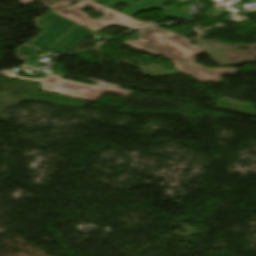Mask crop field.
Here are the masks:
<instances>
[{
  "mask_svg": "<svg viewBox=\"0 0 256 256\" xmlns=\"http://www.w3.org/2000/svg\"><path fill=\"white\" fill-rule=\"evenodd\" d=\"M139 33V38L142 40L141 44H139L140 41L132 40H128L124 44L153 55L163 54L167 58L173 59L175 65L181 64L180 60L191 61L202 53L197 46H189L188 39L158 27L140 30Z\"/></svg>",
  "mask_w": 256,
  "mask_h": 256,
  "instance_id": "8a807250",
  "label": "crop field"
},
{
  "mask_svg": "<svg viewBox=\"0 0 256 256\" xmlns=\"http://www.w3.org/2000/svg\"><path fill=\"white\" fill-rule=\"evenodd\" d=\"M41 82L43 91L95 101L102 92L128 97L131 92L96 84L89 86L63 80L62 77L46 75L44 79H32Z\"/></svg>",
  "mask_w": 256,
  "mask_h": 256,
  "instance_id": "ac0d7876",
  "label": "crop field"
},
{
  "mask_svg": "<svg viewBox=\"0 0 256 256\" xmlns=\"http://www.w3.org/2000/svg\"><path fill=\"white\" fill-rule=\"evenodd\" d=\"M88 7L92 8L93 10H95L105 16L100 20H94V19L89 18L86 14L79 12ZM54 13L66 18V19H69L79 25H82L90 30H93L97 27H100L104 24H107L111 21H114L118 18L125 16L120 12L106 8V7H104L98 3H95L91 0H81L76 5L69 6L62 10H56V11H54Z\"/></svg>",
  "mask_w": 256,
  "mask_h": 256,
  "instance_id": "34b2d1b8",
  "label": "crop field"
},
{
  "mask_svg": "<svg viewBox=\"0 0 256 256\" xmlns=\"http://www.w3.org/2000/svg\"><path fill=\"white\" fill-rule=\"evenodd\" d=\"M37 26L47 29L43 35L34 40L31 44L46 49L67 31H69L75 24L64 20L52 13L36 19Z\"/></svg>",
  "mask_w": 256,
  "mask_h": 256,
  "instance_id": "412701ff",
  "label": "crop field"
},
{
  "mask_svg": "<svg viewBox=\"0 0 256 256\" xmlns=\"http://www.w3.org/2000/svg\"><path fill=\"white\" fill-rule=\"evenodd\" d=\"M176 69L181 72L191 75L201 81L202 83H211V82H222L221 75L236 73L235 69H209L207 67L201 66L199 64H181L177 65ZM222 71L223 73H220Z\"/></svg>",
  "mask_w": 256,
  "mask_h": 256,
  "instance_id": "f4fd0767",
  "label": "crop field"
},
{
  "mask_svg": "<svg viewBox=\"0 0 256 256\" xmlns=\"http://www.w3.org/2000/svg\"><path fill=\"white\" fill-rule=\"evenodd\" d=\"M91 33L92 31L77 25L75 29L49 48V50L63 54Z\"/></svg>",
  "mask_w": 256,
  "mask_h": 256,
  "instance_id": "dd49c442",
  "label": "crop field"
},
{
  "mask_svg": "<svg viewBox=\"0 0 256 256\" xmlns=\"http://www.w3.org/2000/svg\"><path fill=\"white\" fill-rule=\"evenodd\" d=\"M113 24H117L116 26L117 27H121V28H124V29H128V30H132V29H138V28H143V27H149V26H155L156 24L154 23H144L142 21H138L132 17H128V16H125L121 19H118L114 22H111L107 25H104L100 28H97L93 31L95 32H98L108 26H112ZM115 26V25H114Z\"/></svg>",
  "mask_w": 256,
  "mask_h": 256,
  "instance_id": "e52e79f7",
  "label": "crop field"
},
{
  "mask_svg": "<svg viewBox=\"0 0 256 256\" xmlns=\"http://www.w3.org/2000/svg\"><path fill=\"white\" fill-rule=\"evenodd\" d=\"M98 1L104 3V5L106 7H109V8H112V7L116 6V5H119V4L123 3V4H125V5L130 7L126 11L122 12V13L127 15V14H129V13H131V12L137 10V9H140L142 7H145V6H148L150 4H153V3H155V2H157L159 0H147V1H145V2H143L141 4H138L136 6H134L135 3L140 1V0H138V1H135V0H130V1H127V0H98ZM133 1H135V2H133ZM131 2H133V3H131ZM129 3H131V4H129Z\"/></svg>",
  "mask_w": 256,
  "mask_h": 256,
  "instance_id": "d8731c3e",
  "label": "crop field"
},
{
  "mask_svg": "<svg viewBox=\"0 0 256 256\" xmlns=\"http://www.w3.org/2000/svg\"><path fill=\"white\" fill-rule=\"evenodd\" d=\"M152 7L157 8V9H159V10H161V11L166 12V14L164 15L165 17L177 18V19H187V18L190 17V16L185 15L184 12H182V11L176 9V8H173V9H170V10H166V8L160 6V5L157 4V3H155V4H153V5H150V6H148V7H145V8H143V9H140V10H138V11H136V12L130 14L129 16H132V15H134V14H136V13L142 11V10L149 9V8H152ZM174 12H181V13L174 14Z\"/></svg>",
  "mask_w": 256,
  "mask_h": 256,
  "instance_id": "5a996713",
  "label": "crop field"
},
{
  "mask_svg": "<svg viewBox=\"0 0 256 256\" xmlns=\"http://www.w3.org/2000/svg\"><path fill=\"white\" fill-rule=\"evenodd\" d=\"M40 2H42L44 4V6L52 11L56 10V9H59V8H63L65 6H68L76 1H79V0H63L61 2H58V3H55V4H51L49 5L47 1L45 0H39Z\"/></svg>",
  "mask_w": 256,
  "mask_h": 256,
  "instance_id": "3316defc",
  "label": "crop field"
},
{
  "mask_svg": "<svg viewBox=\"0 0 256 256\" xmlns=\"http://www.w3.org/2000/svg\"><path fill=\"white\" fill-rule=\"evenodd\" d=\"M17 1L27 5V4L31 3V2H33L34 0H17Z\"/></svg>",
  "mask_w": 256,
  "mask_h": 256,
  "instance_id": "28ad6ade",
  "label": "crop field"
},
{
  "mask_svg": "<svg viewBox=\"0 0 256 256\" xmlns=\"http://www.w3.org/2000/svg\"><path fill=\"white\" fill-rule=\"evenodd\" d=\"M92 34H94V35L92 36ZM92 34H91V37L107 38V39H109V37L100 36V35H98V34H96V33H92Z\"/></svg>",
  "mask_w": 256,
  "mask_h": 256,
  "instance_id": "d1516ede",
  "label": "crop field"
}]
</instances>
